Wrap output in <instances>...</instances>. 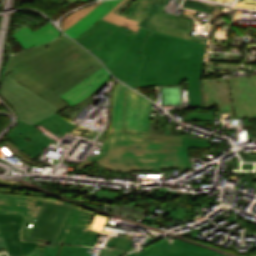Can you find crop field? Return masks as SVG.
Instances as JSON below:
<instances>
[{
    "label": "crop field",
    "instance_id": "7",
    "mask_svg": "<svg viewBox=\"0 0 256 256\" xmlns=\"http://www.w3.org/2000/svg\"><path fill=\"white\" fill-rule=\"evenodd\" d=\"M182 61L146 55L138 86L180 85Z\"/></svg>",
    "mask_w": 256,
    "mask_h": 256
},
{
    "label": "crop field",
    "instance_id": "11",
    "mask_svg": "<svg viewBox=\"0 0 256 256\" xmlns=\"http://www.w3.org/2000/svg\"><path fill=\"white\" fill-rule=\"evenodd\" d=\"M44 135L32 127L9 138V140L30 157L38 159L39 155L44 151L43 149L54 141Z\"/></svg>",
    "mask_w": 256,
    "mask_h": 256
},
{
    "label": "crop field",
    "instance_id": "8",
    "mask_svg": "<svg viewBox=\"0 0 256 256\" xmlns=\"http://www.w3.org/2000/svg\"><path fill=\"white\" fill-rule=\"evenodd\" d=\"M237 118H256V76L230 79Z\"/></svg>",
    "mask_w": 256,
    "mask_h": 256
},
{
    "label": "crop field",
    "instance_id": "5",
    "mask_svg": "<svg viewBox=\"0 0 256 256\" xmlns=\"http://www.w3.org/2000/svg\"><path fill=\"white\" fill-rule=\"evenodd\" d=\"M167 2L168 0H127L114 13L136 20L140 22L139 26L147 29L206 44L207 40L190 36L192 20L161 12Z\"/></svg>",
    "mask_w": 256,
    "mask_h": 256
},
{
    "label": "crop field",
    "instance_id": "3",
    "mask_svg": "<svg viewBox=\"0 0 256 256\" xmlns=\"http://www.w3.org/2000/svg\"><path fill=\"white\" fill-rule=\"evenodd\" d=\"M98 26L112 33L89 50L101 59L115 77L136 89L144 58V55L138 52L149 30L140 27L136 33L101 19L75 40L84 37Z\"/></svg>",
    "mask_w": 256,
    "mask_h": 256
},
{
    "label": "crop field",
    "instance_id": "15",
    "mask_svg": "<svg viewBox=\"0 0 256 256\" xmlns=\"http://www.w3.org/2000/svg\"><path fill=\"white\" fill-rule=\"evenodd\" d=\"M120 1L121 0H110V1L103 2L102 4L99 5V7L94 9L87 16H85L83 20H79L65 32L68 33L73 38L80 35L84 31H86L88 28H90L99 19L103 18Z\"/></svg>",
    "mask_w": 256,
    "mask_h": 256
},
{
    "label": "crop field",
    "instance_id": "34",
    "mask_svg": "<svg viewBox=\"0 0 256 256\" xmlns=\"http://www.w3.org/2000/svg\"><path fill=\"white\" fill-rule=\"evenodd\" d=\"M117 238H118V237H110L109 241H108L107 244H106V247H112V248H114L115 243H116V241H117Z\"/></svg>",
    "mask_w": 256,
    "mask_h": 256
},
{
    "label": "crop field",
    "instance_id": "18",
    "mask_svg": "<svg viewBox=\"0 0 256 256\" xmlns=\"http://www.w3.org/2000/svg\"><path fill=\"white\" fill-rule=\"evenodd\" d=\"M110 32L98 27L91 33H89L87 36H85L83 39L77 41L79 42L82 46L86 48H91L98 42H100L102 39H104L106 36H108Z\"/></svg>",
    "mask_w": 256,
    "mask_h": 256
},
{
    "label": "crop field",
    "instance_id": "6",
    "mask_svg": "<svg viewBox=\"0 0 256 256\" xmlns=\"http://www.w3.org/2000/svg\"><path fill=\"white\" fill-rule=\"evenodd\" d=\"M0 95L14 109L18 120L29 124L60 111L53 104L12 79L3 83Z\"/></svg>",
    "mask_w": 256,
    "mask_h": 256
},
{
    "label": "crop field",
    "instance_id": "23",
    "mask_svg": "<svg viewBox=\"0 0 256 256\" xmlns=\"http://www.w3.org/2000/svg\"><path fill=\"white\" fill-rule=\"evenodd\" d=\"M4 143L6 144V146L8 147L9 150H11L13 153H15L20 159H22L25 162H28L30 164L42 167L44 163L42 164H37L32 162V158H30L29 156H27L25 153H23L21 150H19L11 141L6 140L4 141Z\"/></svg>",
    "mask_w": 256,
    "mask_h": 256
},
{
    "label": "crop field",
    "instance_id": "14",
    "mask_svg": "<svg viewBox=\"0 0 256 256\" xmlns=\"http://www.w3.org/2000/svg\"><path fill=\"white\" fill-rule=\"evenodd\" d=\"M42 125L45 128H47L48 130H50L52 133H54L55 135L58 136V134H60V136L58 137H62L64 134H66L68 131L71 132L72 128L76 125L66 121L65 119H63L62 117H60L57 114H54L48 118H45L41 121H38L32 125H29L27 123H24L22 121H18L17 126L14 127L10 132H8L6 134V136L9 138L11 136H13L14 134L27 129L29 127L35 126V125Z\"/></svg>",
    "mask_w": 256,
    "mask_h": 256
},
{
    "label": "crop field",
    "instance_id": "21",
    "mask_svg": "<svg viewBox=\"0 0 256 256\" xmlns=\"http://www.w3.org/2000/svg\"><path fill=\"white\" fill-rule=\"evenodd\" d=\"M98 4H94L91 6H88L84 9L78 10L76 12H74L73 14L67 16L61 23L62 25V29L65 31L66 29H68L72 24H74L76 21H78L79 19H81L82 17H84L86 14H88L91 10H93L95 7H97Z\"/></svg>",
    "mask_w": 256,
    "mask_h": 256
},
{
    "label": "crop field",
    "instance_id": "33",
    "mask_svg": "<svg viewBox=\"0 0 256 256\" xmlns=\"http://www.w3.org/2000/svg\"><path fill=\"white\" fill-rule=\"evenodd\" d=\"M98 236H99L98 233L91 232V234H90L89 238L87 239L85 245L94 246L96 241H97Z\"/></svg>",
    "mask_w": 256,
    "mask_h": 256
},
{
    "label": "crop field",
    "instance_id": "17",
    "mask_svg": "<svg viewBox=\"0 0 256 256\" xmlns=\"http://www.w3.org/2000/svg\"><path fill=\"white\" fill-rule=\"evenodd\" d=\"M79 214L69 213L55 243L67 244L72 233V230L79 219Z\"/></svg>",
    "mask_w": 256,
    "mask_h": 256
},
{
    "label": "crop field",
    "instance_id": "20",
    "mask_svg": "<svg viewBox=\"0 0 256 256\" xmlns=\"http://www.w3.org/2000/svg\"><path fill=\"white\" fill-rule=\"evenodd\" d=\"M101 67H103L102 64L100 62L97 63L95 66H93L92 68H90L89 70L84 72L79 77H77V78L73 79L72 81L66 83L65 85L55 89L54 92L60 96L61 94L65 93L66 91L72 89L75 85H77L79 82H81L83 79H85L86 77H88L89 75H91L93 72H95L96 70H98Z\"/></svg>",
    "mask_w": 256,
    "mask_h": 256
},
{
    "label": "crop field",
    "instance_id": "24",
    "mask_svg": "<svg viewBox=\"0 0 256 256\" xmlns=\"http://www.w3.org/2000/svg\"><path fill=\"white\" fill-rule=\"evenodd\" d=\"M61 245L43 244L42 256H57Z\"/></svg>",
    "mask_w": 256,
    "mask_h": 256
},
{
    "label": "crop field",
    "instance_id": "10",
    "mask_svg": "<svg viewBox=\"0 0 256 256\" xmlns=\"http://www.w3.org/2000/svg\"><path fill=\"white\" fill-rule=\"evenodd\" d=\"M203 84L206 108H213L217 103L219 112L229 111L234 118L227 78L204 80Z\"/></svg>",
    "mask_w": 256,
    "mask_h": 256
},
{
    "label": "crop field",
    "instance_id": "19",
    "mask_svg": "<svg viewBox=\"0 0 256 256\" xmlns=\"http://www.w3.org/2000/svg\"><path fill=\"white\" fill-rule=\"evenodd\" d=\"M0 194L21 196V197H29V198L41 199V200L52 201V202L63 203V204L75 206V205H73L71 203H68L64 200L58 202L57 199L54 200L51 197H49L48 194H42V193H29V192H22V191L2 190V189H0ZM75 207H78V206H75Z\"/></svg>",
    "mask_w": 256,
    "mask_h": 256
},
{
    "label": "crop field",
    "instance_id": "26",
    "mask_svg": "<svg viewBox=\"0 0 256 256\" xmlns=\"http://www.w3.org/2000/svg\"><path fill=\"white\" fill-rule=\"evenodd\" d=\"M87 226L76 225L68 244L76 245Z\"/></svg>",
    "mask_w": 256,
    "mask_h": 256
},
{
    "label": "crop field",
    "instance_id": "1",
    "mask_svg": "<svg viewBox=\"0 0 256 256\" xmlns=\"http://www.w3.org/2000/svg\"><path fill=\"white\" fill-rule=\"evenodd\" d=\"M151 106L152 102L118 82L113 90L111 123L103 151L89 157L76 170L94 162L127 171L191 168L187 136L149 135Z\"/></svg>",
    "mask_w": 256,
    "mask_h": 256
},
{
    "label": "crop field",
    "instance_id": "28",
    "mask_svg": "<svg viewBox=\"0 0 256 256\" xmlns=\"http://www.w3.org/2000/svg\"><path fill=\"white\" fill-rule=\"evenodd\" d=\"M209 140H201V139H187L188 147H199V148H208Z\"/></svg>",
    "mask_w": 256,
    "mask_h": 256
},
{
    "label": "crop field",
    "instance_id": "40",
    "mask_svg": "<svg viewBox=\"0 0 256 256\" xmlns=\"http://www.w3.org/2000/svg\"><path fill=\"white\" fill-rule=\"evenodd\" d=\"M4 256H7V255H4Z\"/></svg>",
    "mask_w": 256,
    "mask_h": 256
},
{
    "label": "crop field",
    "instance_id": "25",
    "mask_svg": "<svg viewBox=\"0 0 256 256\" xmlns=\"http://www.w3.org/2000/svg\"><path fill=\"white\" fill-rule=\"evenodd\" d=\"M187 120H212L215 121L214 113H188Z\"/></svg>",
    "mask_w": 256,
    "mask_h": 256
},
{
    "label": "crop field",
    "instance_id": "13",
    "mask_svg": "<svg viewBox=\"0 0 256 256\" xmlns=\"http://www.w3.org/2000/svg\"><path fill=\"white\" fill-rule=\"evenodd\" d=\"M60 35L61 33L49 23L35 32L29 28H24L20 32L15 33L13 37L27 49L51 41Z\"/></svg>",
    "mask_w": 256,
    "mask_h": 256
},
{
    "label": "crop field",
    "instance_id": "37",
    "mask_svg": "<svg viewBox=\"0 0 256 256\" xmlns=\"http://www.w3.org/2000/svg\"><path fill=\"white\" fill-rule=\"evenodd\" d=\"M136 252H137V251H135V252H133V253H131V254H128V256H135V255H136ZM216 256H225V255H222V254L217 253Z\"/></svg>",
    "mask_w": 256,
    "mask_h": 256
},
{
    "label": "crop field",
    "instance_id": "4",
    "mask_svg": "<svg viewBox=\"0 0 256 256\" xmlns=\"http://www.w3.org/2000/svg\"><path fill=\"white\" fill-rule=\"evenodd\" d=\"M206 45L150 31L140 53L183 60L182 80H188L189 107L202 108L199 78Z\"/></svg>",
    "mask_w": 256,
    "mask_h": 256
},
{
    "label": "crop field",
    "instance_id": "16",
    "mask_svg": "<svg viewBox=\"0 0 256 256\" xmlns=\"http://www.w3.org/2000/svg\"><path fill=\"white\" fill-rule=\"evenodd\" d=\"M126 0H123L121 1L115 8H113L103 19L107 20V21H110L112 23H115L119 26H122V27H126V28H129L130 30H133V31H138L139 29V26L138 25V22L136 21H133L131 19H128L126 17H123L121 15H117V14H114L112 13L113 11H115L123 2H125Z\"/></svg>",
    "mask_w": 256,
    "mask_h": 256
},
{
    "label": "crop field",
    "instance_id": "32",
    "mask_svg": "<svg viewBox=\"0 0 256 256\" xmlns=\"http://www.w3.org/2000/svg\"><path fill=\"white\" fill-rule=\"evenodd\" d=\"M91 215H92L91 213H87V212L82 211L78 224L88 225L89 221H90V218H91Z\"/></svg>",
    "mask_w": 256,
    "mask_h": 256
},
{
    "label": "crop field",
    "instance_id": "29",
    "mask_svg": "<svg viewBox=\"0 0 256 256\" xmlns=\"http://www.w3.org/2000/svg\"><path fill=\"white\" fill-rule=\"evenodd\" d=\"M0 198L18 201V202H22V203H26V204L39 205V206H42L44 203V202H40V201H34V200H28V199H22V198L10 197V196H3V195H0Z\"/></svg>",
    "mask_w": 256,
    "mask_h": 256
},
{
    "label": "crop field",
    "instance_id": "27",
    "mask_svg": "<svg viewBox=\"0 0 256 256\" xmlns=\"http://www.w3.org/2000/svg\"><path fill=\"white\" fill-rule=\"evenodd\" d=\"M132 237L133 236H130V235H125V237H123V238L119 237L115 248L128 251L129 247H130L129 242L132 239Z\"/></svg>",
    "mask_w": 256,
    "mask_h": 256
},
{
    "label": "crop field",
    "instance_id": "30",
    "mask_svg": "<svg viewBox=\"0 0 256 256\" xmlns=\"http://www.w3.org/2000/svg\"><path fill=\"white\" fill-rule=\"evenodd\" d=\"M127 252H122V251H117L114 249H105L103 248L101 255L100 256H118V255H122L125 254Z\"/></svg>",
    "mask_w": 256,
    "mask_h": 256
},
{
    "label": "crop field",
    "instance_id": "12",
    "mask_svg": "<svg viewBox=\"0 0 256 256\" xmlns=\"http://www.w3.org/2000/svg\"><path fill=\"white\" fill-rule=\"evenodd\" d=\"M110 77L111 75L103 67L83 80L72 90L61 95L60 98L74 106L104 84Z\"/></svg>",
    "mask_w": 256,
    "mask_h": 256
},
{
    "label": "crop field",
    "instance_id": "31",
    "mask_svg": "<svg viewBox=\"0 0 256 256\" xmlns=\"http://www.w3.org/2000/svg\"><path fill=\"white\" fill-rule=\"evenodd\" d=\"M38 245L40 244L23 242V256L32 251Z\"/></svg>",
    "mask_w": 256,
    "mask_h": 256
},
{
    "label": "crop field",
    "instance_id": "9",
    "mask_svg": "<svg viewBox=\"0 0 256 256\" xmlns=\"http://www.w3.org/2000/svg\"><path fill=\"white\" fill-rule=\"evenodd\" d=\"M216 252L206 248L182 241L168 242L163 240L146 250L138 253V256H215Z\"/></svg>",
    "mask_w": 256,
    "mask_h": 256
},
{
    "label": "crop field",
    "instance_id": "36",
    "mask_svg": "<svg viewBox=\"0 0 256 256\" xmlns=\"http://www.w3.org/2000/svg\"><path fill=\"white\" fill-rule=\"evenodd\" d=\"M89 234H90V231L86 230L84 235H83V237H82V239L79 241L78 245H84V242L86 241V239H87Z\"/></svg>",
    "mask_w": 256,
    "mask_h": 256
},
{
    "label": "crop field",
    "instance_id": "39",
    "mask_svg": "<svg viewBox=\"0 0 256 256\" xmlns=\"http://www.w3.org/2000/svg\"><path fill=\"white\" fill-rule=\"evenodd\" d=\"M65 1H82V0H65Z\"/></svg>",
    "mask_w": 256,
    "mask_h": 256
},
{
    "label": "crop field",
    "instance_id": "35",
    "mask_svg": "<svg viewBox=\"0 0 256 256\" xmlns=\"http://www.w3.org/2000/svg\"><path fill=\"white\" fill-rule=\"evenodd\" d=\"M26 256H41V249L36 248Z\"/></svg>",
    "mask_w": 256,
    "mask_h": 256
},
{
    "label": "crop field",
    "instance_id": "38",
    "mask_svg": "<svg viewBox=\"0 0 256 256\" xmlns=\"http://www.w3.org/2000/svg\"><path fill=\"white\" fill-rule=\"evenodd\" d=\"M71 212H75V213H79L80 214L81 211L72 207Z\"/></svg>",
    "mask_w": 256,
    "mask_h": 256
},
{
    "label": "crop field",
    "instance_id": "2",
    "mask_svg": "<svg viewBox=\"0 0 256 256\" xmlns=\"http://www.w3.org/2000/svg\"><path fill=\"white\" fill-rule=\"evenodd\" d=\"M97 62L99 60L92 54L63 35L50 43L13 55L4 81L13 78L62 110L68 104L52 90Z\"/></svg>",
    "mask_w": 256,
    "mask_h": 256
},
{
    "label": "crop field",
    "instance_id": "22",
    "mask_svg": "<svg viewBox=\"0 0 256 256\" xmlns=\"http://www.w3.org/2000/svg\"><path fill=\"white\" fill-rule=\"evenodd\" d=\"M191 210L181 209V208H165L164 216L174 219L176 221H181L182 218Z\"/></svg>",
    "mask_w": 256,
    "mask_h": 256
}]
</instances>
